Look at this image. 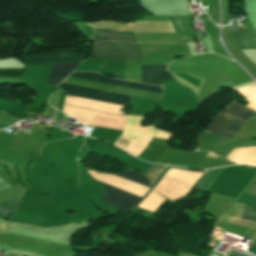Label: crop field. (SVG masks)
I'll use <instances>...</instances> for the list:
<instances>
[{"label": "crop field", "mask_w": 256, "mask_h": 256, "mask_svg": "<svg viewBox=\"0 0 256 256\" xmlns=\"http://www.w3.org/2000/svg\"><path fill=\"white\" fill-rule=\"evenodd\" d=\"M71 76H76L80 78L90 79L94 81L104 82V83L118 85V86L127 87V88L162 93L161 87L113 80L97 73L73 72ZM58 87L67 89V91L64 93L68 95H73V96L123 105V106H128L129 100H130L129 95L97 90L92 88H86L81 86H75L70 84L61 83ZM73 96H68V97H73Z\"/></svg>", "instance_id": "obj_1"}, {"label": "crop field", "mask_w": 256, "mask_h": 256, "mask_svg": "<svg viewBox=\"0 0 256 256\" xmlns=\"http://www.w3.org/2000/svg\"><path fill=\"white\" fill-rule=\"evenodd\" d=\"M143 117L128 116L121 136L114 143L115 146L139 156L151 143L152 137L168 140L171 134L159 131L155 126L141 127Z\"/></svg>", "instance_id": "obj_2"}, {"label": "crop field", "mask_w": 256, "mask_h": 256, "mask_svg": "<svg viewBox=\"0 0 256 256\" xmlns=\"http://www.w3.org/2000/svg\"><path fill=\"white\" fill-rule=\"evenodd\" d=\"M253 113L254 111L233 102L220 111L205 131L215 135L232 137Z\"/></svg>", "instance_id": "obj_3"}, {"label": "crop field", "mask_w": 256, "mask_h": 256, "mask_svg": "<svg viewBox=\"0 0 256 256\" xmlns=\"http://www.w3.org/2000/svg\"><path fill=\"white\" fill-rule=\"evenodd\" d=\"M116 175L126 178L128 180H131L133 182H136L138 184H141L143 186H146L148 188L151 187L150 184L148 183V180L143 175L133 173L130 171H124V172H122L120 174H116ZM98 182L106 189L105 195L100 200L107 204H110L122 211L128 212L140 200V198L133 196L129 193H126L122 190L114 188V187L107 185L103 182H100V181H98Z\"/></svg>", "instance_id": "obj_4"}, {"label": "crop field", "mask_w": 256, "mask_h": 256, "mask_svg": "<svg viewBox=\"0 0 256 256\" xmlns=\"http://www.w3.org/2000/svg\"><path fill=\"white\" fill-rule=\"evenodd\" d=\"M100 58H142L136 44L122 42H101L93 45L91 54L86 60Z\"/></svg>", "instance_id": "obj_5"}, {"label": "crop field", "mask_w": 256, "mask_h": 256, "mask_svg": "<svg viewBox=\"0 0 256 256\" xmlns=\"http://www.w3.org/2000/svg\"><path fill=\"white\" fill-rule=\"evenodd\" d=\"M166 65L141 66V74H169ZM175 80L171 75H142V81L162 85V82Z\"/></svg>", "instance_id": "obj_6"}, {"label": "crop field", "mask_w": 256, "mask_h": 256, "mask_svg": "<svg viewBox=\"0 0 256 256\" xmlns=\"http://www.w3.org/2000/svg\"><path fill=\"white\" fill-rule=\"evenodd\" d=\"M81 62L82 61L54 65L46 83L57 86Z\"/></svg>", "instance_id": "obj_7"}, {"label": "crop field", "mask_w": 256, "mask_h": 256, "mask_svg": "<svg viewBox=\"0 0 256 256\" xmlns=\"http://www.w3.org/2000/svg\"><path fill=\"white\" fill-rule=\"evenodd\" d=\"M95 35L92 39L93 44L99 41L114 40V41H130L136 42L134 35L123 34L109 29H94Z\"/></svg>", "instance_id": "obj_8"}, {"label": "crop field", "mask_w": 256, "mask_h": 256, "mask_svg": "<svg viewBox=\"0 0 256 256\" xmlns=\"http://www.w3.org/2000/svg\"><path fill=\"white\" fill-rule=\"evenodd\" d=\"M10 188L7 182L0 177V190ZM20 198H15L7 201L0 202V217H4L10 219L9 214H14L18 203L20 202Z\"/></svg>", "instance_id": "obj_9"}, {"label": "crop field", "mask_w": 256, "mask_h": 256, "mask_svg": "<svg viewBox=\"0 0 256 256\" xmlns=\"http://www.w3.org/2000/svg\"><path fill=\"white\" fill-rule=\"evenodd\" d=\"M236 201L256 206V196L248 193L242 192ZM249 205L247 206L242 218L256 221V207L249 206Z\"/></svg>", "instance_id": "obj_10"}, {"label": "crop field", "mask_w": 256, "mask_h": 256, "mask_svg": "<svg viewBox=\"0 0 256 256\" xmlns=\"http://www.w3.org/2000/svg\"><path fill=\"white\" fill-rule=\"evenodd\" d=\"M28 65L58 63L56 54L25 57Z\"/></svg>", "instance_id": "obj_11"}, {"label": "crop field", "mask_w": 256, "mask_h": 256, "mask_svg": "<svg viewBox=\"0 0 256 256\" xmlns=\"http://www.w3.org/2000/svg\"><path fill=\"white\" fill-rule=\"evenodd\" d=\"M223 168H217V169H213L211 170L206 177L200 182V184L196 187V189L202 190V191H206V189L208 188V186L211 184V182L213 181V179L220 173V171Z\"/></svg>", "instance_id": "obj_12"}, {"label": "crop field", "mask_w": 256, "mask_h": 256, "mask_svg": "<svg viewBox=\"0 0 256 256\" xmlns=\"http://www.w3.org/2000/svg\"><path fill=\"white\" fill-rule=\"evenodd\" d=\"M59 63L84 60L86 54L78 55L75 53H59L57 54Z\"/></svg>", "instance_id": "obj_13"}, {"label": "crop field", "mask_w": 256, "mask_h": 256, "mask_svg": "<svg viewBox=\"0 0 256 256\" xmlns=\"http://www.w3.org/2000/svg\"><path fill=\"white\" fill-rule=\"evenodd\" d=\"M163 165H156L152 164L149 168L146 176L149 179V182L152 184V182L155 180L156 176L160 173V171L164 168Z\"/></svg>", "instance_id": "obj_14"}, {"label": "crop field", "mask_w": 256, "mask_h": 256, "mask_svg": "<svg viewBox=\"0 0 256 256\" xmlns=\"http://www.w3.org/2000/svg\"><path fill=\"white\" fill-rule=\"evenodd\" d=\"M24 70L18 69H4L0 70V77H19L22 75Z\"/></svg>", "instance_id": "obj_15"}, {"label": "crop field", "mask_w": 256, "mask_h": 256, "mask_svg": "<svg viewBox=\"0 0 256 256\" xmlns=\"http://www.w3.org/2000/svg\"><path fill=\"white\" fill-rule=\"evenodd\" d=\"M168 168H172V167H166L164 170H163V172L157 177V179H156V182L159 180V178L161 177V175L168 169ZM173 169H181V168H173ZM181 170H189V171H196V172H202V171H197V170H190V169H181ZM202 173H204V172H202ZM206 175V173H204L203 175H202V177L197 181V183L193 186V188L188 192V194L185 196V197H187L188 195H189V193L196 187V185L203 179V177ZM155 185H156V183L155 184H153V188H155ZM185 197H183V198H185ZM182 198V199H183ZM181 200V199H180Z\"/></svg>", "instance_id": "obj_16"}, {"label": "crop field", "mask_w": 256, "mask_h": 256, "mask_svg": "<svg viewBox=\"0 0 256 256\" xmlns=\"http://www.w3.org/2000/svg\"><path fill=\"white\" fill-rule=\"evenodd\" d=\"M151 189H152V187H151ZM151 189H150L149 192L134 206V208L141 209V208H138V207H136V206L150 193ZM165 203H166V201H165L154 213H152V214L157 213V212L159 211V209H160ZM141 210H143V209H141ZM144 211H146V210H144ZM147 212H148V211H147ZM149 213H150V212H149Z\"/></svg>", "instance_id": "obj_17"}, {"label": "crop field", "mask_w": 256, "mask_h": 256, "mask_svg": "<svg viewBox=\"0 0 256 256\" xmlns=\"http://www.w3.org/2000/svg\"><path fill=\"white\" fill-rule=\"evenodd\" d=\"M210 256H221V254H218V253H216V252L211 251ZM227 256H241V255L236 254V253L230 251Z\"/></svg>", "instance_id": "obj_18"}, {"label": "crop field", "mask_w": 256, "mask_h": 256, "mask_svg": "<svg viewBox=\"0 0 256 256\" xmlns=\"http://www.w3.org/2000/svg\"><path fill=\"white\" fill-rule=\"evenodd\" d=\"M209 154H210V155H214V154H212V153H210V152H209ZM210 155H207V156H208V157H214V158H217V157H215V156H210Z\"/></svg>", "instance_id": "obj_19"}, {"label": "crop field", "mask_w": 256, "mask_h": 256, "mask_svg": "<svg viewBox=\"0 0 256 256\" xmlns=\"http://www.w3.org/2000/svg\"><path fill=\"white\" fill-rule=\"evenodd\" d=\"M215 228L220 229V228H218V227H216V226H215Z\"/></svg>", "instance_id": "obj_20"}]
</instances>
